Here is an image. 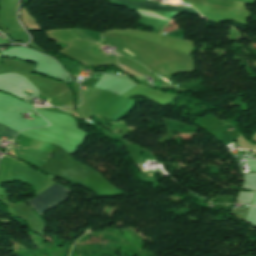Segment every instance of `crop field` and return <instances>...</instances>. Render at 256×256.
Here are the masks:
<instances>
[{
  "label": "crop field",
  "mask_w": 256,
  "mask_h": 256,
  "mask_svg": "<svg viewBox=\"0 0 256 256\" xmlns=\"http://www.w3.org/2000/svg\"><path fill=\"white\" fill-rule=\"evenodd\" d=\"M67 192L68 190L56 184L49 188L47 191L39 194L35 199L29 200L28 203L39 215H41L45 210L60 202L65 201L68 197L66 195Z\"/></svg>",
  "instance_id": "1"
},
{
  "label": "crop field",
  "mask_w": 256,
  "mask_h": 256,
  "mask_svg": "<svg viewBox=\"0 0 256 256\" xmlns=\"http://www.w3.org/2000/svg\"><path fill=\"white\" fill-rule=\"evenodd\" d=\"M112 3L127 6V7H135V8H146V9H157V10H168V11H179V12H187V11H181V10H188V11H194V9L190 8H183V7H175V6H168V5H162L152 2H141V1H134V0H122V1H130V2H137V3H143V4H149V5H156V6H162V7H169V8H175V9H181V10H174V9H168V8H161V7H154V6H147V5H141V4H134V3H127V2H121V1H114L111 0ZM187 13H193V12H187ZM197 14V13H193ZM199 15V14H198Z\"/></svg>",
  "instance_id": "2"
},
{
  "label": "crop field",
  "mask_w": 256,
  "mask_h": 256,
  "mask_svg": "<svg viewBox=\"0 0 256 256\" xmlns=\"http://www.w3.org/2000/svg\"><path fill=\"white\" fill-rule=\"evenodd\" d=\"M126 53H128V54H130V55L134 56L133 54H131V53L127 52V51H126ZM134 57H136V56H134ZM136 58H138V57H136ZM138 59H140V58H138Z\"/></svg>",
  "instance_id": "3"
},
{
  "label": "crop field",
  "mask_w": 256,
  "mask_h": 256,
  "mask_svg": "<svg viewBox=\"0 0 256 256\" xmlns=\"http://www.w3.org/2000/svg\"><path fill=\"white\" fill-rule=\"evenodd\" d=\"M26 91H28V90H26ZM29 92H31V93H32V91H29Z\"/></svg>",
  "instance_id": "4"
}]
</instances>
